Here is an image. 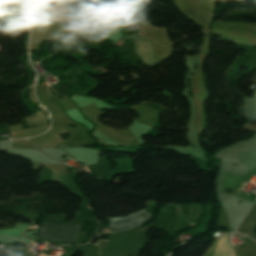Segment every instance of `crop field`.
<instances>
[{
	"instance_id": "1",
	"label": "crop field",
	"mask_w": 256,
	"mask_h": 256,
	"mask_svg": "<svg viewBox=\"0 0 256 256\" xmlns=\"http://www.w3.org/2000/svg\"><path fill=\"white\" fill-rule=\"evenodd\" d=\"M80 225L45 223L38 238L76 242Z\"/></svg>"
},
{
	"instance_id": "2",
	"label": "crop field",
	"mask_w": 256,
	"mask_h": 256,
	"mask_svg": "<svg viewBox=\"0 0 256 256\" xmlns=\"http://www.w3.org/2000/svg\"><path fill=\"white\" fill-rule=\"evenodd\" d=\"M153 217L145 210L129 214L127 217L109 219L112 232L127 230L147 223Z\"/></svg>"
},
{
	"instance_id": "3",
	"label": "crop field",
	"mask_w": 256,
	"mask_h": 256,
	"mask_svg": "<svg viewBox=\"0 0 256 256\" xmlns=\"http://www.w3.org/2000/svg\"><path fill=\"white\" fill-rule=\"evenodd\" d=\"M135 52L145 63L155 61L153 44L151 41L134 40Z\"/></svg>"
},
{
	"instance_id": "4",
	"label": "crop field",
	"mask_w": 256,
	"mask_h": 256,
	"mask_svg": "<svg viewBox=\"0 0 256 256\" xmlns=\"http://www.w3.org/2000/svg\"><path fill=\"white\" fill-rule=\"evenodd\" d=\"M123 13L119 11L103 13L100 19L97 21H110V22H120Z\"/></svg>"
},
{
	"instance_id": "5",
	"label": "crop field",
	"mask_w": 256,
	"mask_h": 256,
	"mask_svg": "<svg viewBox=\"0 0 256 256\" xmlns=\"http://www.w3.org/2000/svg\"><path fill=\"white\" fill-rule=\"evenodd\" d=\"M85 169H86V171H88V172H90L91 174H93V171H92V169H91V167H90V166L85 167Z\"/></svg>"
},
{
	"instance_id": "6",
	"label": "crop field",
	"mask_w": 256,
	"mask_h": 256,
	"mask_svg": "<svg viewBox=\"0 0 256 256\" xmlns=\"http://www.w3.org/2000/svg\"><path fill=\"white\" fill-rule=\"evenodd\" d=\"M24 4V3H23ZM19 5V4H18Z\"/></svg>"
}]
</instances>
